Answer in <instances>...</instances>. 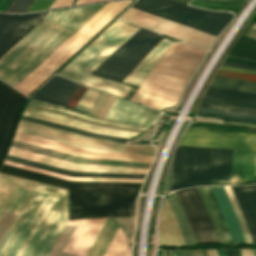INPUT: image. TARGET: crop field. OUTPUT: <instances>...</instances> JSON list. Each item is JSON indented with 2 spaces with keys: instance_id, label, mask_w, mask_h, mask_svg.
Listing matches in <instances>:
<instances>
[{
  "instance_id": "63",
  "label": "crop field",
  "mask_w": 256,
  "mask_h": 256,
  "mask_svg": "<svg viewBox=\"0 0 256 256\" xmlns=\"http://www.w3.org/2000/svg\"><path fill=\"white\" fill-rule=\"evenodd\" d=\"M253 256H256V250H252Z\"/></svg>"
},
{
  "instance_id": "28",
  "label": "crop field",
  "mask_w": 256,
  "mask_h": 256,
  "mask_svg": "<svg viewBox=\"0 0 256 256\" xmlns=\"http://www.w3.org/2000/svg\"><path fill=\"white\" fill-rule=\"evenodd\" d=\"M233 150L218 149L214 185L228 184Z\"/></svg>"
},
{
  "instance_id": "8",
  "label": "crop field",
  "mask_w": 256,
  "mask_h": 256,
  "mask_svg": "<svg viewBox=\"0 0 256 256\" xmlns=\"http://www.w3.org/2000/svg\"><path fill=\"white\" fill-rule=\"evenodd\" d=\"M217 149L177 146L170 191L213 185Z\"/></svg>"
},
{
  "instance_id": "32",
  "label": "crop field",
  "mask_w": 256,
  "mask_h": 256,
  "mask_svg": "<svg viewBox=\"0 0 256 256\" xmlns=\"http://www.w3.org/2000/svg\"><path fill=\"white\" fill-rule=\"evenodd\" d=\"M21 119L26 120V121H30V122H34V123H38V124H42V125H46V126H50V127H54V128H58V129H62V130H66V131H70V132H74V133H78V134H82V135H86V136H90V137L100 138V139H106V140H111V141H116V142H121V143H124V141L127 140V138H121V137L109 136V135H104V134L92 133V132H88V131H84V130H80V129H76V128H72V127H68V126H64V125H60V124H56V123H52V122H48V121H44V120H40V119L28 117V116H24V115L22 116Z\"/></svg>"
},
{
  "instance_id": "65",
  "label": "crop field",
  "mask_w": 256,
  "mask_h": 256,
  "mask_svg": "<svg viewBox=\"0 0 256 256\" xmlns=\"http://www.w3.org/2000/svg\"><path fill=\"white\" fill-rule=\"evenodd\" d=\"M213 251H214V255H215V256H217V252H216V250H213Z\"/></svg>"
},
{
  "instance_id": "42",
  "label": "crop field",
  "mask_w": 256,
  "mask_h": 256,
  "mask_svg": "<svg viewBox=\"0 0 256 256\" xmlns=\"http://www.w3.org/2000/svg\"><path fill=\"white\" fill-rule=\"evenodd\" d=\"M202 103L256 110V105L235 103V102H228V101H221V100H214V99H207V98H204Z\"/></svg>"
},
{
  "instance_id": "49",
  "label": "crop field",
  "mask_w": 256,
  "mask_h": 256,
  "mask_svg": "<svg viewBox=\"0 0 256 256\" xmlns=\"http://www.w3.org/2000/svg\"><path fill=\"white\" fill-rule=\"evenodd\" d=\"M231 187H232V189H233V191H234V194H235V196H236L237 202H238V204H239V207H240V209H241L242 215H243L244 220H245V222H246V225H247V228H248V230H249L250 236H251L252 240L254 241L251 228H250V226H249L248 220H247L246 215H245V213H244V211H243V208H242V206H241V203H240V201H239V199H238V196H237V194H236V191H235V189H234L233 186H231Z\"/></svg>"
},
{
  "instance_id": "51",
  "label": "crop field",
  "mask_w": 256,
  "mask_h": 256,
  "mask_svg": "<svg viewBox=\"0 0 256 256\" xmlns=\"http://www.w3.org/2000/svg\"><path fill=\"white\" fill-rule=\"evenodd\" d=\"M220 69H222V70H230V71H237V72H245V73L256 74V71H254V70H246V69H239V68H232V67H224V66H221Z\"/></svg>"
},
{
  "instance_id": "16",
  "label": "crop field",
  "mask_w": 256,
  "mask_h": 256,
  "mask_svg": "<svg viewBox=\"0 0 256 256\" xmlns=\"http://www.w3.org/2000/svg\"><path fill=\"white\" fill-rule=\"evenodd\" d=\"M44 14L21 16L0 14V55L38 22Z\"/></svg>"
},
{
  "instance_id": "45",
  "label": "crop field",
  "mask_w": 256,
  "mask_h": 256,
  "mask_svg": "<svg viewBox=\"0 0 256 256\" xmlns=\"http://www.w3.org/2000/svg\"><path fill=\"white\" fill-rule=\"evenodd\" d=\"M33 0H15L7 11L22 12L26 11Z\"/></svg>"
},
{
  "instance_id": "36",
  "label": "crop field",
  "mask_w": 256,
  "mask_h": 256,
  "mask_svg": "<svg viewBox=\"0 0 256 256\" xmlns=\"http://www.w3.org/2000/svg\"><path fill=\"white\" fill-rule=\"evenodd\" d=\"M104 256H130L123 233L120 228Z\"/></svg>"
},
{
  "instance_id": "58",
  "label": "crop field",
  "mask_w": 256,
  "mask_h": 256,
  "mask_svg": "<svg viewBox=\"0 0 256 256\" xmlns=\"http://www.w3.org/2000/svg\"><path fill=\"white\" fill-rule=\"evenodd\" d=\"M248 251H249V255H250V256H252V252H251V250H248ZM248 251H247V250H245V252H246V256H249V255H248ZM240 252H241V256H245L244 250H240Z\"/></svg>"
},
{
  "instance_id": "26",
  "label": "crop field",
  "mask_w": 256,
  "mask_h": 256,
  "mask_svg": "<svg viewBox=\"0 0 256 256\" xmlns=\"http://www.w3.org/2000/svg\"><path fill=\"white\" fill-rule=\"evenodd\" d=\"M6 160H10V161H14V162H18V163H22V164H26V165H30V166H34V167H38V168L58 172V173H62V174L70 175V176L126 177V178H143L144 177V175H133V174L72 172V171H68V170H64V169H60V168H56V167H52V166H48V165H44V164H40V163H37V162H33V161H29V160L9 156V155H7Z\"/></svg>"
},
{
  "instance_id": "23",
  "label": "crop field",
  "mask_w": 256,
  "mask_h": 256,
  "mask_svg": "<svg viewBox=\"0 0 256 256\" xmlns=\"http://www.w3.org/2000/svg\"><path fill=\"white\" fill-rule=\"evenodd\" d=\"M210 187L213 191V194L216 198V201H217L219 208L222 212V215L225 219V222L227 224V227L230 232L232 240L233 241H236V240L244 241L237 218L232 209V206L230 204V201L228 199V196L225 192L224 187L223 186H210Z\"/></svg>"
},
{
  "instance_id": "21",
  "label": "crop field",
  "mask_w": 256,
  "mask_h": 256,
  "mask_svg": "<svg viewBox=\"0 0 256 256\" xmlns=\"http://www.w3.org/2000/svg\"><path fill=\"white\" fill-rule=\"evenodd\" d=\"M256 152L234 150L229 184L253 182Z\"/></svg>"
},
{
  "instance_id": "25",
  "label": "crop field",
  "mask_w": 256,
  "mask_h": 256,
  "mask_svg": "<svg viewBox=\"0 0 256 256\" xmlns=\"http://www.w3.org/2000/svg\"><path fill=\"white\" fill-rule=\"evenodd\" d=\"M118 228L114 218H107L86 256H103Z\"/></svg>"
},
{
  "instance_id": "27",
  "label": "crop field",
  "mask_w": 256,
  "mask_h": 256,
  "mask_svg": "<svg viewBox=\"0 0 256 256\" xmlns=\"http://www.w3.org/2000/svg\"><path fill=\"white\" fill-rule=\"evenodd\" d=\"M207 98L256 104V94L209 87L205 96Z\"/></svg>"
},
{
  "instance_id": "39",
  "label": "crop field",
  "mask_w": 256,
  "mask_h": 256,
  "mask_svg": "<svg viewBox=\"0 0 256 256\" xmlns=\"http://www.w3.org/2000/svg\"><path fill=\"white\" fill-rule=\"evenodd\" d=\"M101 94L100 91L87 88L82 97L79 99L74 109H78L88 113L98 96Z\"/></svg>"
},
{
  "instance_id": "7",
  "label": "crop field",
  "mask_w": 256,
  "mask_h": 256,
  "mask_svg": "<svg viewBox=\"0 0 256 256\" xmlns=\"http://www.w3.org/2000/svg\"><path fill=\"white\" fill-rule=\"evenodd\" d=\"M129 1L107 3L14 88L27 96Z\"/></svg>"
},
{
  "instance_id": "41",
  "label": "crop field",
  "mask_w": 256,
  "mask_h": 256,
  "mask_svg": "<svg viewBox=\"0 0 256 256\" xmlns=\"http://www.w3.org/2000/svg\"><path fill=\"white\" fill-rule=\"evenodd\" d=\"M224 187L226 189V192H227V194L229 196V199L231 201L233 209H234V211L236 213V216L238 218V221H239L240 227L242 229L245 241L246 242H252L231 187L230 186H224Z\"/></svg>"
},
{
  "instance_id": "60",
  "label": "crop field",
  "mask_w": 256,
  "mask_h": 256,
  "mask_svg": "<svg viewBox=\"0 0 256 256\" xmlns=\"http://www.w3.org/2000/svg\"><path fill=\"white\" fill-rule=\"evenodd\" d=\"M71 118V117H70ZM75 119V118H74ZM79 120V119H78ZM81 121H83V120H81ZM85 122H87V121H85ZM89 123H91V122H89ZM92 124H95V123H92ZM96 125H99V124H96ZM108 127H110V126H108ZM114 128H116V127H114ZM120 130H122V129H120ZM125 131H128V130H125ZM134 131V130H133ZM133 131H131V132H133ZM138 132H140V131H138ZM138 132H136V133H138Z\"/></svg>"
},
{
  "instance_id": "18",
  "label": "crop field",
  "mask_w": 256,
  "mask_h": 256,
  "mask_svg": "<svg viewBox=\"0 0 256 256\" xmlns=\"http://www.w3.org/2000/svg\"><path fill=\"white\" fill-rule=\"evenodd\" d=\"M105 219L68 221L66 225H78L64 251L85 256Z\"/></svg>"
},
{
  "instance_id": "61",
  "label": "crop field",
  "mask_w": 256,
  "mask_h": 256,
  "mask_svg": "<svg viewBox=\"0 0 256 256\" xmlns=\"http://www.w3.org/2000/svg\"><path fill=\"white\" fill-rule=\"evenodd\" d=\"M206 251H207V255H208V256H209V253H210V256H214L212 250H209V253H208V250H206Z\"/></svg>"
},
{
  "instance_id": "19",
  "label": "crop field",
  "mask_w": 256,
  "mask_h": 256,
  "mask_svg": "<svg viewBox=\"0 0 256 256\" xmlns=\"http://www.w3.org/2000/svg\"><path fill=\"white\" fill-rule=\"evenodd\" d=\"M77 87L78 84L74 82L59 76H53L32 96V98L53 104L65 105Z\"/></svg>"
},
{
  "instance_id": "44",
  "label": "crop field",
  "mask_w": 256,
  "mask_h": 256,
  "mask_svg": "<svg viewBox=\"0 0 256 256\" xmlns=\"http://www.w3.org/2000/svg\"><path fill=\"white\" fill-rule=\"evenodd\" d=\"M216 75L256 81V75H252V74L218 70Z\"/></svg>"
},
{
  "instance_id": "37",
  "label": "crop field",
  "mask_w": 256,
  "mask_h": 256,
  "mask_svg": "<svg viewBox=\"0 0 256 256\" xmlns=\"http://www.w3.org/2000/svg\"><path fill=\"white\" fill-rule=\"evenodd\" d=\"M251 225L256 240V217L244 186H234Z\"/></svg>"
},
{
  "instance_id": "20",
  "label": "crop field",
  "mask_w": 256,
  "mask_h": 256,
  "mask_svg": "<svg viewBox=\"0 0 256 256\" xmlns=\"http://www.w3.org/2000/svg\"><path fill=\"white\" fill-rule=\"evenodd\" d=\"M24 115L92 131V132H98V133H104V134H110V135H115V136H121V137H127L130 138L136 133H131V132H125V131H120V130H115V129H109V128H104V127H99L87 123H82L74 120L67 119V116L29 107L27 106Z\"/></svg>"
},
{
  "instance_id": "43",
  "label": "crop field",
  "mask_w": 256,
  "mask_h": 256,
  "mask_svg": "<svg viewBox=\"0 0 256 256\" xmlns=\"http://www.w3.org/2000/svg\"><path fill=\"white\" fill-rule=\"evenodd\" d=\"M65 228H66V226H65ZM65 228H64V230H65ZM69 228V227H68ZM68 228H67V230H68ZM70 228H71V226H70ZM70 228H69V230H70ZM75 228H76V226H72V228H71V230H70V232L68 233L67 232V230H66V232L68 233V235H67V237L65 238L64 237V235H65V233H64V235L62 236V238H61V240L59 239L60 238V236L62 235V233L64 232V230L62 231V233H61V235L59 236V243H58V245L56 246V248H55V250H54V252L52 253V255L51 256H53L54 255V253H55V251L57 250V248H58V246L60 245V243H61V241H62V239H63V237L65 238V240H64V242L62 243V245H61V247L59 248V250H58V252H57V254H56V256H60L61 255V253H62V251H63V249H64V247H65V245L67 244V242H68V240H69V238L71 237V235H72V233L74 232V230H75ZM68 230V231H69ZM58 241V240H57ZM57 241H56V243H57ZM56 243L54 244V246H53V248L55 247V245H56ZM53 248L51 249V251L53 250ZM51 251H50V253H51ZM50 253L48 254V256L50 255ZM63 254H64V252L62 253V255L61 256H63ZM67 255V253H65V255L64 256H66ZM70 254H68L67 256H69ZM55 256V255H54ZM70 256H73V254H71ZM74 256H78V255H74Z\"/></svg>"
},
{
  "instance_id": "12",
  "label": "crop field",
  "mask_w": 256,
  "mask_h": 256,
  "mask_svg": "<svg viewBox=\"0 0 256 256\" xmlns=\"http://www.w3.org/2000/svg\"><path fill=\"white\" fill-rule=\"evenodd\" d=\"M197 244L218 243L211 221L195 187L175 192Z\"/></svg>"
},
{
  "instance_id": "38",
  "label": "crop field",
  "mask_w": 256,
  "mask_h": 256,
  "mask_svg": "<svg viewBox=\"0 0 256 256\" xmlns=\"http://www.w3.org/2000/svg\"><path fill=\"white\" fill-rule=\"evenodd\" d=\"M108 94L102 92V94L100 95V97L97 99V101L95 102V104L93 105V107L91 108V110L89 111V114L92 115H97L99 109L102 107V105L104 104L105 100L107 99ZM115 97L109 95L108 99L106 100L105 104L103 105V107L100 109L99 113L97 116L99 117H103L105 118L109 108L111 107L112 103L114 102Z\"/></svg>"
},
{
  "instance_id": "54",
  "label": "crop field",
  "mask_w": 256,
  "mask_h": 256,
  "mask_svg": "<svg viewBox=\"0 0 256 256\" xmlns=\"http://www.w3.org/2000/svg\"><path fill=\"white\" fill-rule=\"evenodd\" d=\"M252 28L256 29V23H254V25L247 32H245L244 35H247L249 37L256 39V31L253 30Z\"/></svg>"
},
{
  "instance_id": "17",
  "label": "crop field",
  "mask_w": 256,
  "mask_h": 256,
  "mask_svg": "<svg viewBox=\"0 0 256 256\" xmlns=\"http://www.w3.org/2000/svg\"><path fill=\"white\" fill-rule=\"evenodd\" d=\"M160 112L116 98L106 118L138 125L150 126Z\"/></svg>"
},
{
  "instance_id": "56",
  "label": "crop field",
  "mask_w": 256,
  "mask_h": 256,
  "mask_svg": "<svg viewBox=\"0 0 256 256\" xmlns=\"http://www.w3.org/2000/svg\"><path fill=\"white\" fill-rule=\"evenodd\" d=\"M202 252H203V255L206 256L205 250H203ZM191 253H192V256H202L201 251H191Z\"/></svg>"
},
{
  "instance_id": "57",
  "label": "crop field",
  "mask_w": 256,
  "mask_h": 256,
  "mask_svg": "<svg viewBox=\"0 0 256 256\" xmlns=\"http://www.w3.org/2000/svg\"><path fill=\"white\" fill-rule=\"evenodd\" d=\"M187 252H188V256H191L190 251H187ZM177 253H178V256H187L186 251H177Z\"/></svg>"
},
{
  "instance_id": "53",
  "label": "crop field",
  "mask_w": 256,
  "mask_h": 256,
  "mask_svg": "<svg viewBox=\"0 0 256 256\" xmlns=\"http://www.w3.org/2000/svg\"><path fill=\"white\" fill-rule=\"evenodd\" d=\"M222 65L256 70L255 66L240 65V64H233V63H226V62H223Z\"/></svg>"
},
{
  "instance_id": "5",
  "label": "crop field",
  "mask_w": 256,
  "mask_h": 256,
  "mask_svg": "<svg viewBox=\"0 0 256 256\" xmlns=\"http://www.w3.org/2000/svg\"><path fill=\"white\" fill-rule=\"evenodd\" d=\"M206 52L185 43L173 44L130 100L158 110L175 105Z\"/></svg>"
},
{
  "instance_id": "62",
  "label": "crop field",
  "mask_w": 256,
  "mask_h": 256,
  "mask_svg": "<svg viewBox=\"0 0 256 256\" xmlns=\"http://www.w3.org/2000/svg\"><path fill=\"white\" fill-rule=\"evenodd\" d=\"M235 252H236V256H240L239 250H235Z\"/></svg>"
},
{
  "instance_id": "2",
  "label": "crop field",
  "mask_w": 256,
  "mask_h": 256,
  "mask_svg": "<svg viewBox=\"0 0 256 256\" xmlns=\"http://www.w3.org/2000/svg\"><path fill=\"white\" fill-rule=\"evenodd\" d=\"M132 7L218 36L232 14L187 7L174 0H139ZM130 7L120 18L133 24L208 49L216 36Z\"/></svg>"
},
{
  "instance_id": "24",
  "label": "crop field",
  "mask_w": 256,
  "mask_h": 256,
  "mask_svg": "<svg viewBox=\"0 0 256 256\" xmlns=\"http://www.w3.org/2000/svg\"><path fill=\"white\" fill-rule=\"evenodd\" d=\"M165 203H166V205H167L168 211H169V213H170V215H171V217H172V219H173V221H174V223H175V226H176V228H177V231H178V233H179L180 240H181V244H182V245H185V244H184V240H183V236H182V232H181V230H180V228H179V225H178V223H177V220H176V218H175V216H174V214H173V212H172V210H171V208H170V206H169V204H168L167 199L165 200ZM165 203H164V205H163L162 210H163V212H164V214H165V216H166V218H167V220H168V222H169V224H170V226H171V228H172V230H173L174 237H175V240H176V244H177V245H181V244H180V240H179L178 233H177L176 228H175V226H174V224H173V221H172V219H171V217H170V215H169V213H168V211H167V208H166V206H165ZM163 212L161 211V215H162V218H163V220H164V222H165V224H166V226H167V228H168V230H169V234H170V238H171L172 245H176V244H175L174 237H173V233H172V231H171V229H170V227H169V224H168V222H167V220H166V218H165ZM161 215H160L159 223H160V225H161V227H162V229H163V233H164V235H165L167 244L171 245L170 238H169V234H168V231H167V229H166V227H165V225H164V223H163V221H162ZM159 223H158V240H159V244H166V243H165V239H164V235H163V233H162V230H161V227H160Z\"/></svg>"
},
{
  "instance_id": "1",
  "label": "crop field",
  "mask_w": 256,
  "mask_h": 256,
  "mask_svg": "<svg viewBox=\"0 0 256 256\" xmlns=\"http://www.w3.org/2000/svg\"><path fill=\"white\" fill-rule=\"evenodd\" d=\"M67 221V191L35 183L0 243V256H47Z\"/></svg>"
},
{
  "instance_id": "64",
  "label": "crop field",
  "mask_w": 256,
  "mask_h": 256,
  "mask_svg": "<svg viewBox=\"0 0 256 256\" xmlns=\"http://www.w3.org/2000/svg\"><path fill=\"white\" fill-rule=\"evenodd\" d=\"M162 252H163V256H166L165 250H162Z\"/></svg>"
},
{
  "instance_id": "29",
  "label": "crop field",
  "mask_w": 256,
  "mask_h": 256,
  "mask_svg": "<svg viewBox=\"0 0 256 256\" xmlns=\"http://www.w3.org/2000/svg\"><path fill=\"white\" fill-rule=\"evenodd\" d=\"M28 105L34 106V107L50 109V110L62 112V113H65V114H69V115H73V116H77V117H81V118H85V119L101 122V123L118 125V126H124V127L141 129V130L147 129L145 127H140V126L125 124V123H119V122H114V121H107V120H101V119L93 118V117L87 116V115L82 114V113H78V112H75V111H72V110H68V109L62 108L60 106H56V105H52V104H48V103H44V102H40V101H36V100H30Z\"/></svg>"
},
{
  "instance_id": "10",
  "label": "crop field",
  "mask_w": 256,
  "mask_h": 256,
  "mask_svg": "<svg viewBox=\"0 0 256 256\" xmlns=\"http://www.w3.org/2000/svg\"><path fill=\"white\" fill-rule=\"evenodd\" d=\"M18 131L50 138L53 140L86 147V148H94V149H102V150H110V151H118V152H126V153H134V154H142V155H154V148L150 147H140V146H131L125 145L121 143L105 141L95 138H90L26 121H20L18 126Z\"/></svg>"
},
{
  "instance_id": "3",
  "label": "crop field",
  "mask_w": 256,
  "mask_h": 256,
  "mask_svg": "<svg viewBox=\"0 0 256 256\" xmlns=\"http://www.w3.org/2000/svg\"><path fill=\"white\" fill-rule=\"evenodd\" d=\"M104 4L48 12L0 58V79L14 87Z\"/></svg>"
},
{
  "instance_id": "11",
  "label": "crop field",
  "mask_w": 256,
  "mask_h": 256,
  "mask_svg": "<svg viewBox=\"0 0 256 256\" xmlns=\"http://www.w3.org/2000/svg\"><path fill=\"white\" fill-rule=\"evenodd\" d=\"M225 125L256 128L255 126L222 122ZM178 145L255 150L256 134L245 132H219L205 127H189Z\"/></svg>"
},
{
  "instance_id": "52",
  "label": "crop field",
  "mask_w": 256,
  "mask_h": 256,
  "mask_svg": "<svg viewBox=\"0 0 256 256\" xmlns=\"http://www.w3.org/2000/svg\"><path fill=\"white\" fill-rule=\"evenodd\" d=\"M200 106H203V107H211V108H219V109H226V110H234V111H241V112L256 113L255 111H248V110H241V109H233V108H226V107H219V106H211V105H204V104H201Z\"/></svg>"
},
{
  "instance_id": "40",
  "label": "crop field",
  "mask_w": 256,
  "mask_h": 256,
  "mask_svg": "<svg viewBox=\"0 0 256 256\" xmlns=\"http://www.w3.org/2000/svg\"><path fill=\"white\" fill-rule=\"evenodd\" d=\"M196 188H197V190H198V192L200 194V197H201V199H202V201L204 203V206H205V208H206V210L208 212V215H209V217H210V219L212 221V224H213V227H214V230H215L218 242L219 243H225L224 239H223V236H222V232H221L219 223H218V220H217V218H216V216H215V214H214V212L212 210V207H211V205H210V203H209V201H208V199L206 197V194H205L203 188L202 187H196Z\"/></svg>"
},
{
  "instance_id": "33",
  "label": "crop field",
  "mask_w": 256,
  "mask_h": 256,
  "mask_svg": "<svg viewBox=\"0 0 256 256\" xmlns=\"http://www.w3.org/2000/svg\"><path fill=\"white\" fill-rule=\"evenodd\" d=\"M228 55L256 60V40L242 35Z\"/></svg>"
},
{
  "instance_id": "67",
  "label": "crop field",
  "mask_w": 256,
  "mask_h": 256,
  "mask_svg": "<svg viewBox=\"0 0 256 256\" xmlns=\"http://www.w3.org/2000/svg\"><path fill=\"white\" fill-rule=\"evenodd\" d=\"M255 186V188H256V185H254Z\"/></svg>"
},
{
  "instance_id": "34",
  "label": "crop field",
  "mask_w": 256,
  "mask_h": 256,
  "mask_svg": "<svg viewBox=\"0 0 256 256\" xmlns=\"http://www.w3.org/2000/svg\"><path fill=\"white\" fill-rule=\"evenodd\" d=\"M197 114L213 115L223 119L238 120L256 123V114L226 111L200 107Z\"/></svg>"
},
{
  "instance_id": "30",
  "label": "crop field",
  "mask_w": 256,
  "mask_h": 256,
  "mask_svg": "<svg viewBox=\"0 0 256 256\" xmlns=\"http://www.w3.org/2000/svg\"><path fill=\"white\" fill-rule=\"evenodd\" d=\"M171 207H172V210L179 222V225L181 227V230L183 232V235H184V239H185V243L186 245H193V244H196L195 243V240H194V237H193V234H192V231H191V228H190V225L185 217V214L179 204V201L175 195V193H173L170 197L167 198Z\"/></svg>"
},
{
  "instance_id": "66",
  "label": "crop field",
  "mask_w": 256,
  "mask_h": 256,
  "mask_svg": "<svg viewBox=\"0 0 256 256\" xmlns=\"http://www.w3.org/2000/svg\"><path fill=\"white\" fill-rule=\"evenodd\" d=\"M168 253H169V256H171V253H170V251H168Z\"/></svg>"
},
{
  "instance_id": "50",
  "label": "crop field",
  "mask_w": 256,
  "mask_h": 256,
  "mask_svg": "<svg viewBox=\"0 0 256 256\" xmlns=\"http://www.w3.org/2000/svg\"><path fill=\"white\" fill-rule=\"evenodd\" d=\"M73 1L74 0H55L50 8L71 5Z\"/></svg>"
},
{
  "instance_id": "35",
  "label": "crop field",
  "mask_w": 256,
  "mask_h": 256,
  "mask_svg": "<svg viewBox=\"0 0 256 256\" xmlns=\"http://www.w3.org/2000/svg\"><path fill=\"white\" fill-rule=\"evenodd\" d=\"M4 163H5V164H9V165H13V166H17V167H21V168H25V169H29V170H33V171H37V172H41V173H45V174H49V175H53V176H57V177H61V178H65V179H69V180L124 181V182H141V181H142V179H125V178L70 177V176H66V175H62V174H58V173H54V172H50V171H46V170H42V169L30 167V166L18 164V163L6 161V160L4 161Z\"/></svg>"
},
{
  "instance_id": "14",
  "label": "crop field",
  "mask_w": 256,
  "mask_h": 256,
  "mask_svg": "<svg viewBox=\"0 0 256 256\" xmlns=\"http://www.w3.org/2000/svg\"><path fill=\"white\" fill-rule=\"evenodd\" d=\"M33 184L34 181L0 173V216L4 210L17 214Z\"/></svg>"
},
{
  "instance_id": "59",
  "label": "crop field",
  "mask_w": 256,
  "mask_h": 256,
  "mask_svg": "<svg viewBox=\"0 0 256 256\" xmlns=\"http://www.w3.org/2000/svg\"><path fill=\"white\" fill-rule=\"evenodd\" d=\"M227 256H235L234 250H226Z\"/></svg>"
},
{
  "instance_id": "9",
  "label": "crop field",
  "mask_w": 256,
  "mask_h": 256,
  "mask_svg": "<svg viewBox=\"0 0 256 256\" xmlns=\"http://www.w3.org/2000/svg\"><path fill=\"white\" fill-rule=\"evenodd\" d=\"M162 37L140 28L91 74L121 81Z\"/></svg>"
},
{
  "instance_id": "15",
  "label": "crop field",
  "mask_w": 256,
  "mask_h": 256,
  "mask_svg": "<svg viewBox=\"0 0 256 256\" xmlns=\"http://www.w3.org/2000/svg\"><path fill=\"white\" fill-rule=\"evenodd\" d=\"M9 155L41 162L44 164L72 170V171H86V172H110V173H134V174H145L147 169L141 168H127V167H112V166H98V165H84V164H75L40 154L10 148L8 153Z\"/></svg>"
},
{
  "instance_id": "22",
  "label": "crop field",
  "mask_w": 256,
  "mask_h": 256,
  "mask_svg": "<svg viewBox=\"0 0 256 256\" xmlns=\"http://www.w3.org/2000/svg\"><path fill=\"white\" fill-rule=\"evenodd\" d=\"M172 43L167 40H161L153 50L132 70V72L123 80V82L140 85L146 76L151 72Z\"/></svg>"
},
{
  "instance_id": "46",
  "label": "crop field",
  "mask_w": 256,
  "mask_h": 256,
  "mask_svg": "<svg viewBox=\"0 0 256 256\" xmlns=\"http://www.w3.org/2000/svg\"><path fill=\"white\" fill-rule=\"evenodd\" d=\"M9 215H10V213L4 211L3 215H2L1 218H0V230H1L2 227L4 226V224H5V222L7 221ZM11 216H12V213H11L9 219L11 218ZM14 217H15V214H13L12 218L10 219V221H9V219H8L9 223H8V221H7V223H8V224L6 223L7 226H6V224H5L6 228H5V226L3 227V229L5 228L4 231H3V229H2L3 233H2V231L0 232V234L2 233L1 236H0V241L2 240L4 234L6 233L8 227L10 226V224H11V222L13 221Z\"/></svg>"
},
{
  "instance_id": "13",
  "label": "crop field",
  "mask_w": 256,
  "mask_h": 256,
  "mask_svg": "<svg viewBox=\"0 0 256 256\" xmlns=\"http://www.w3.org/2000/svg\"><path fill=\"white\" fill-rule=\"evenodd\" d=\"M26 97L0 81V159Z\"/></svg>"
},
{
  "instance_id": "31",
  "label": "crop field",
  "mask_w": 256,
  "mask_h": 256,
  "mask_svg": "<svg viewBox=\"0 0 256 256\" xmlns=\"http://www.w3.org/2000/svg\"><path fill=\"white\" fill-rule=\"evenodd\" d=\"M212 87L256 92V82L214 76L209 84Z\"/></svg>"
},
{
  "instance_id": "4",
  "label": "crop field",
  "mask_w": 256,
  "mask_h": 256,
  "mask_svg": "<svg viewBox=\"0 0 256 256\" xmlns=\"http://www.w3.org/2000/svg\"><path fill=\"white\" fill-rule=\"evenodd\" d=\"M0 170L69 187L72 218L134 216L140 183L68 181L4 164Z\"/></svg>"
},
{
  "instance_id": "55",
  "label": "crop field",
  "mask_w": 256,
  "mask_h": 256,
  "mask_svg": "<svg viewBox=\"0 0 256 256\" xmlns=\"http://www.w3.org/2000/svg\"><path fill=\"white\" fill-rule=\"evenodd\" d=\"M95 1H102V0H77L74 5L76 4H82V3H89V2H95Z\"/></svg>"
},
{
  "instance_id": "68",
  "label": "crop field",
  "mask_w": 256,
  "mask_h": 256,
  "mask_svg": "<svg viewBox=\"0 0 256 256\" xmlns=\"http://www.w3.org/2000/svg\"><path fill=\"white\" fill-rule=\"evenodd\" d=\"M167 252V251H166ZM167 256H168V253H167Z\"/></svg>"
},
{
  "instance_id": "48",
  "label": "crop field",
  "mask_w": 256,
  "mask_h": 256,
  "mask_svg": "<svg viewBox=\"0 0 256 256\" xmlns=\"http://www.w3.org/2000/svg\"><path fill=\"white\" fill-rule=\"evenodd\" d=\"M246 189H247V192L249 194V197L251 199V202L253 204V207L255 209V213H256V191L254 189V186L251 185V186H245Z\"/></svg>"
},
{
  "instance_id": "6",
  "label": "crop field",
  "mask_w": 256,
  "mask_h": 256,
  "mask_svg": "<svg viewBox=\"0 0 256 256\" xmlns=\"http://www.w3.org/2000/svg\"><path fill=\"white\" fill-rule=\"evenodd\" d=\"M138 29L139 27L116 21L107 31L77 56L59 75L90 87L124 97L130 87L119 82L95 77L89 73Z\"/></svg>"
},
{
  "instance_id": "47",
  "label": "crop field",
  "mask_w": 256,
  "mask_h": 256,
  "mask_svg": "<svg viewBox=\"0 0 256 256\" xmlns=\"http://www.w3.org/2000/svg\"><path fill=\"white\" fill-rule=\"evenodd\" d=\"M224 61L233 62V63H240V64L255 65L256 66L255 61H250V60H245V59H240V58H235V57H230V56H227Z\"/></svg>"
}]
</instances>
